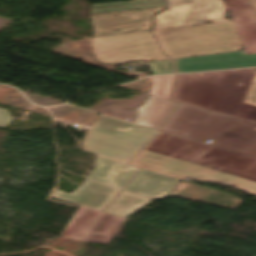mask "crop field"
Instances as JSON below:
<instances>
[{"mask_svg": "<svg viewBox=\"0 0 256 256\" xmlns=\"http://www.w3.org/2000/svg\"><path fill=\"white\" fill-rule=\"evenodd\" d=\"M162 2L160 0H135L134 2H124V3H111V4H101V5H93L91 8H100V7H117V6H126V7H117V8H100V9H91L90 8V16L92 20V26L94 28L93 36L98 35H108V34H118L129 31H140L149 29L152 26V16L158 11L162 10L165 7V3L158 5H144L149 3H157ZM135 5L136 7H130ZM160 7V8H155ZM146 8H155V9H146ZM138 9H146V10H138ZM129 10H138V11H129ZM120 11L121 13H116ZM129 11V12H124ZM149 11H156L150 13ZM111 12V14L106 15H97L92 16V14L97 13H106ZM119 15L116 17H111ZM99 17L100 19H94ZM142 27V29L135 30V28ZM121 29L118 31H113ZM113 31V32H110Z\"/></svg>", "mask_w": 256, "mask_h": 256, "instance_id": "e52e79f7", "label": "crop field"}, {"mask_svg": "<svg viewBox=\"0 0 256 256\" xmlns=\"http://www.w3.org/2000/svg\"><path fill=\"white\" fill-rule=\"evenodd\" d=\"M225 4L246 54L256 53V17L249 1L225 0Z\"/></svg>", "mask_w": 256, "mask_h": 256, "instance_id": "28ad6ade", "label": "crop field"}, {"mask_svg": "<svg viewBox=\"0 0 256 256\" xmlns=\"http://www.w3.org/2000/svg\"><path fill=\"white\" fill-rule=\"evenodd\" d=\"M255 71L178 75L171 100L256 122V107L243 104Z\"/></svg>", "mask_w": 256, "mask_h": 256, "instance_id": "ac0d7876", "label": "crop field"}, {"mask_svg": "<svg viewBox=\"0 0 256 256\" xmlns=\"http://www.w3.org/2000/svg\"><path fill=\"white\" fill-rule=\"evenodd\" d=\"M160 130L256 158V123L179 103Z\"/></svg>", "mask_w": 256, "mask_h": 256, "instance_id": "34b2d1b8", "label": "crop field"}, {"mask_svg": "<svg viewBox=\"0 0 256 256\" xmlns=\"http://www.w3.org/2000/svg\"><path fill=\"white\" fill-rule=\"evenodd\" d=\"M123 221L124 218L102 213L89 232L103 235H114L122 225Z\"/></svg>", "mask_w": 256, "mask_h": 256, "instance_id": "733c2abd", "label": "crop field"}, {"mask_svg": "<svg viewBox=\"0 0 256 256\" xmlns=\"http://www.w3.org/2000/svg\"><path fill=\"white\" fill-rule=\"evenodd\" d=\"M174 76L154 77L150 95L168 99Z\"/></svg>", "mask_w": 256, "mask_h": 256, "instance_id": "4a817a6b", "label": "crop field"}, {"mask_svg": "<svg viewBox=\"0 0 256 256\" xmlns=\"http://www.w3.org/2000/svg\"><path fill=\"white\" fill-rule=\"evenodd\" d=\"M147 65H148L152 75L175 73L173 60L151 62V63H147Z\"/></svg>", "mask_w": 256, "mask_h": 256, "instance_id": "214f88e0", "label": "crop field"}, {"mask_svg": "<svg viewBox=\"0 0 256 256\" xmlns=\"http://www.w3.org/2000/svg\"><path fill=\"white\" fill-rule=\"evenodd\" d=\"M11 120L8 111L0 109V127L4 128Z\"/></svg>", "mask_w": 256, "mask_h": 256, "instance_id": "00972430", "label": "crop field"}, {"mask_svg": "<svg viewBox=\"0 0 256 256\" xmlns=\"http://www.w3.org/2000/svg\"><path fill=\"white\" fill-rule=\"evenodd\" d=\"M168 175L233 185L256 195V159L159 131L130 162Z\"/></svg>", "mask_w": 256, "mask_h": 256, "instance_id": "8a807250", "label": "crop field"}, {"mask_svg": "<svg viewBox=\"0 0 256 256\" xmlns=\"http://www.w3.org/2000/svg\"><path fill=\"white\" fill-rule=\"evenodd\" d=\"M138 168L103 157H96L95 168L88 179L123 188Z\"/></svg>", "mask_w": 256, "mask_h": 256, "instance_id": "22f410ed", "label": "crop field"}, {"mask_svg": "<svg viewBox=\"0 0 256 256\" xmlns=\"http://www.w3.org/2000/svg\"><path fill=\"white\" fill-rule=\"evenodd\" d=\"M164 53L174 59L242 49L231 22L152 31Z\"/></svg>", "mask_w": 256, "mask_h": 256, "instance_id": "412701ff", "label": "crop field"}, {"mask_svg": "<svg viewBox=\"0 0 256 256\" xmlns=\"http://www.w3.org/2000/svg\"><path fill=\"white\" fill-rule=\"evenodd\" d=\"M100 212L79 206L61 235L81 240Z\"/></svg>", "mask_w": 256, "mask_h": 256, "instance_id": "d9b57169", "label": "crop field"}, {"mask_svg": "<svg viewBox=\"0 0 256 256\" xmlns=\"http://www.w3.org/2000/svg\"><path fill=\"white\" fill-rule=\"evenodd\" d=\"M151 201L152 199L122 190L106 208L104 213L126 218L137 209L147 205Z\"/></svg>", "mask_w": 256, "mask_h": 256, "instance_id": "5142ce71", "label": "crop field"}, {"mask_svg": "<svg viewBox=\"0 0 256 256\" xmlns=\"http://www.w3.org/2000/svg\"><path fill=\"white\" fill-rule=\"evenodd\" d=\"M176 105L172 101L149 96L144 105L136 110L133 124L159 130Z\"/></svg>", "mask_w": 256, "mask_h": 256, "instance_id": "cbeb9de0", "label": "crop field"}, {"mask_svg": "<svg viewBox=\"0 0 256 256\" xmlns=\"http://www.w3.org/2000/svg\"><path fill=\"white\" fill-rule=\"evenodd\" d=\"M157 130L126 123L112 135L88 129L83 150L127 162Z\"/></svg>", "mask_w": 256, "mask_h": 256, "instance_id": "dd49c442", "label": "crop field"}, {"mask_svg": "<svg viewBox=\"0 0 256 256\" xmlns=\"http://www.w3.org/2000/svg\"><path fill=\"white\" fill-rule=\"evenodd\" d=\"M178 182L179 179L141 169L124 190L152 199H163L168 197Z\"/></svg>", "mask_w": 256, "mask_h": 256, "instance_id": "d1516ede", "label": "crop field"}, {"mask_svg": "<svg viewBox=\"0 0 256 256\" xmlns=\"http://www.w3.org/2000/svg\"><path fill=\"white\" fill-rule=\"evenodd\" d=\"M124 123L126 122L100 116L90 125V128L112 134L117 128H119Z\"/></svg>", "mask_w": 256, "mask_h": 256, "instance_id": "bc2a9ffb", "label": "crop field"}, {"mask_svg": "<svg viewBox=\"0 0 256 256\" xmlns=\"http://www.w3.org/2000/svg\"><path fill=\"white\" fill-rule=\"evenodd\" d=\"M167 8L170 11L164 10L155 17L153 29L227 21L221 0H167ZM187 16L190 18L184 23Z\"/></svg>", "mask_w": 256, "mask_h": 256, "instance_id": "d8731c3e", "label": "crop field"}, {"mask_svg": "<svg viewBox=\"0 0 256 256\" xmlns=\"http://www.w3.org/2000/svg\"><path fill=\"white\" fill-rule=\"evenodd\" d=\"M244 103L256 106V75L247 93Z\"/></svg>", "mask_w": 256, "mask_h": 256, "instance_id": "dafd665d", "label": "crop field"}, {"mask_svg": "<svg viewBox=\"0 0 256 256\" xmlns=\"http://www.w3.org/2000/svg\"><path fill=\"white\" fill-rule=\"evenodd\" d=\"M249 1H250V4H251V6L254 10L255 15H256V0H249Z\"/></svg>", "mask_w": 256, "mask_h": 256, "instance_id": "a9b5d70f", "label": "crop field"}, {"mask_svg": "<svg viewBox=\"0 0 256 256\" xmlns=\"http://www.w3.org/2000/svg\"><path fill=\"white\" fill-rule=\"evenodd\" d=\"M93 54L100 62L124 64L167 60L149 31L92 38Z\"/></svg>", "mask_w": 256, "mask_h": 256, "instance_id": "f4fd0767", "label": "crop field"}, {"mask_svg": "<svg viewBox=\"0 0 256 256\" xmlns=\"http://www.w3.org/2000/svg\"><path fill=\"white\" fill-rule=\"evenodd\" d=\"M120 190L86 179L75 192L55 190L51 197L101 211Z\"/></svg>", "mask_w": 256, "mask_h": 256, "instance_id": "3316defc", "label": "crop field"}, {"mask_svg": "<svg viewBox=\"0 0 256 256\" xmlns=\"http://www.w3.org/2000/svg\"><path fill=\"white\" fill-rule=\"evenodd\" d=\"M112 237L100 236L86 233L83 242L106 244Z\"/></svg>", "mask_w": 256, "mask_h": 256, "instance_id": "92a150f3", "label": "crop field"}, {"mask_svg": "<svg viewBox=\"0 0 256 256\" xmlns=\"http://www.w3.org/2000/svg\"><path fill=\"white\" fill-rule=\"evenodd\" d=\"M175 61L177 64V73L256 67V54L245 55L244 51H234L200 57L181 58Z\"/></svg>", "mask_w": 256, "mask_h": 256, "instance_id": "5a996713", "label": "crop field"}]
</instances>
